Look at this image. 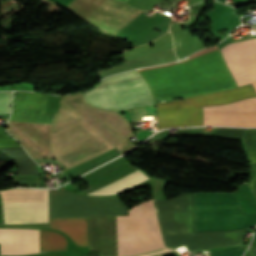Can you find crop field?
Masks as SVG:
<instances>
[{"label":"crop field","mask_w":256,"mask_h":256,"mask_svg":"<svg viewBox=\"0 0 256 256\" xmlns=\"http://www.w3.org/2000/svg\"><path fill=\"white\" fill-rule=\"evenodd\" d=\"M195 232L255 226L256 214H245L233 193H193ZM118 256L164 247L152 199L117 217ZM173 251L161 250L145 255ZM161 256V255H160Z\"/></svg>","instance_id":"8a807250"},{"label":"crop field","mask_w":256,"mask_h":256,"mask_svg":"<svg viewBox=\"0 0 256 256\" xmlns=\"http://www.w3.org/2000/svg\"><path fill=\"white\" fill-rule=\"evenodd\" d=\"M78 120L60 101L51 134ZM84 123L80 120L51 135L55 157L67 168L114 148Z\"/></svg>","instance_id":"ac0d7876"},{"label":"crop field","mask_w":256,"mask_h":256,"mask_svg":"<svg viewBox=\"0 0 256 256\" xmlns=\"http://www.w3.org/2000/svg\"><path fill=\"white\" fill-rule=\"evenodd\" d=\"M256 96L251 84L183 100L155 101L159 129L202 125L201 106L223 105Z\"/></svg>","instance_id":"34b2d1b8"},{"label":"crop field","mask_w":256,"mask_h":256,"mask_svg":"<svg viewBox=\"0 0 256 256\" xmlns=\"http://www.w3.org/2000/svg\"><path fill=\"white\" fill-rule=\"evenodd\" d=\"M81 94L87 104L116 112L154 104L137 70L105 78L96 88Z\"/></svg>","instance_id":"412701ff"},{"label":"crop field","mask_w":256,"mask_h":256,"mask_svg":"<svg viewBox=\"0 0 256 256\" xmlns=\"http://www.w3.org/2000/svg\"><path fill=\"white\" fill-rule=\"evenodd\" d=\"M60 100L105 137L120 154L134 147L127 140L133 133L125 117L85 104L80 93L62 96Z\"/></svg>","instance_id":"f4fd0767"},{"label":"crop field","mask_w":256,"mask_h":256,"mask_svg":"<svg viewBox=\"0 0 256 256\" xmlns=\"http://www.w3.org/2000/svg\"><path fill=\"white\" fill-rule=\"evenodd\" d=\"M121 215H128V209L116 196L91 197L60 190H50L49 218Z\"/></svg>","instance_id":"dd49c442"},{"label":"crop field","mask_w":256,"mask_h":256,"mask_svg":"<svg viewBox=\"0 0 256 256\" xmlns=\"http://www.w3.org/2000/svg\"><path fill=\"white\" fill-rule=\"evenodd\" d=\"M66 7L82 19L114 34L141 12L115 0H71Z\"/></svg>","instance_id":"e52e79f7"},{"label":"crop field","mask_w":256,"mask_h":256,"mask_svg":"<svg viewBox=\"0 0 256 256\" xmlns=\"http://www.w3.org/2000/svg\"><path fill=\"white\" fill-rule=\"evenodd\" d=\"M38 230L0 229V254H23L38 252ZM39 252L65 250L66 239L59 233L39 230Z\"/></svg>","instance_id":"d8731c3e"},{"label":"crop field","mask_w":256,"mask_h":256,"mask_svg":"<svg viewBox=\"0 0 256 256\" xmlns=\"http://www.w3.org/2000/svg\"><path fill=\"white\" fill-rule=\"evenodd\" d=\"M221 52L238 86L256 81V36L230 41Z\"/></svg>","instance_id":"5a996713"},{"label":"crop field","mask_w":256,"mask_h":256,"mask_svg":"<svg viewBox=\"0 0 256 256\" xmlns=\"http://www.w3.org/2000/svg\"><path fill=\"white\" fill-rule=\"evenodd\" d=\"M252 86L256 92V82ZM203 125L256 126V97L224 106L203 107Z\"/></svg>","instance_id":"3316defc"},{"label":"crop field","mask_w":256,"mask_h":256,"mask_svg":"<svg viewBox=\"0 0 256 256\" xmlns=\"http://www.w3.org/2000/svg\"><path fill=\"white\" fill-rule=\"evenodd\" d=\"M7 126V131L32 158H54L49 138L50 125L8 121Z\"/></svg>","instance_id":"28ad6ade"},{"label":"crop field","mask_w":256,"mask_h":256,"mask_svg":"<svg viewBox=\"0 0 256 256\" xmlns=\"http://www.w3.org/2000/svg\"><path fill=\"white\" fill-rule=\"evenodd\" d=\"M88 246L101 256H117L116 217L88 218Z\"/></svg>","instance_id":"d1516ede"},{"label":"crop field","mask_w":256,"mask_h":256,"mask_svg":"<svg viewBox=\"0 0 256 256\" xmlns=\"http://www.w3.org/2000/svg\"><path fill=\"white\" fill-rule=\"evenodd\" d=\"M46 95L14 92L13 113L9 120L52 123L55 114L43 113Z\"/></svg>","instance_id":"22f410ed"},{"label":"crop field","mask_w":256,"mask_h":256,"mask_svg":"<svg viewBox=\"0 0 256 256\" xmlns=\"http://www.w3.org/2000/svg\"><path fill=\"white\" fill-rule=\"evenodd\" d=\"M4 224L47 221L48 203L2 205Z\"/></svg>","instance_id":"cbeb9de0"},{"label":"crop field","mask_w":256,"mask_h":256,"mask_svg":"<svg viewBox=\"0 0 256 256\" xmlns=\"http://www.w3.org/2000/svg\"><path fill=\"white\" fill-rule=\"evenodd\" d=\"M214 135L239 138L243 141L251 163H256V129L215 128ZM249 187L256 197V164H252V178Z\"/></svg>","instance_id":"5142ce71"},{"label":"crop field","mask_w":256,"mask_h":256,"mask_svg":"<svg viewBox=\"0 0 256 256\" xmlns=\"http://www.w3.org/2000/svg\"><path fill=\"white\" fill-rule=\"evenodd\" d=\"M51 229L66 234L77 246H87L86 218L51 219Z\"/></svg>","instance_id":"d9b57169"},{"label":"crop field","mask_w":256,"mask_h":256,"mask_svg":"<svg viewBox=\"0 0 256 256\" xmlns=\"http://www.w3.org/2000/svg\"><path fill=\"white\" fill-rule=\"evenodd\" d=\"M148 179L145 175H143L139 170L124 176L114 182H111L99 189H96L87 195H109V194H117L131 186H134L144 180Z\"/></svg>","instance_id":"733c2abd"},{"label":"crop field","mask_w":256,"mask_h":256,"mask_svg":"<svg viewBox=\"0 0 256 256\" xmlns=\"http://www.w3.org/2000/svg\"><path fill=\"white\" fill-rule=\"evenodd\" d=\"M0 151L15 158L16 163L19 167L16 175L39 173L35 167L38 164H36L32 159L29 158V156L26 154L22 147L4 148L0 149Z\"/></svg>","instance_id":"4a817a6b"},{"label":"crop field","mask_w":256,"mask_h":256,"mask_svg":"<svg viewBox=\"0 0 256 256\" xmlns=\"http://www.w3.org/2000/svg\"><path fill=\"white\" fill-rule=\"evenodd\" d=\"M246 246H241V247H236V248H231V249H226V250H221V251H216V252H211L209 253L210 256H241V254L244 252L246 249Z\"/></svg>","instance_id":"bc2a9ffb"},{"label":"crop field","mask_w":256,"mask_h":256,"mask_svg":"<svg viewBox=\"0 0 256 256\" xmlns=\"http://www.w3.org/2000/svg\"><path fill=\"white\" fill-rule=\"evenodd\" d=\"M10 95H11V92H0V114H8L9 113V97H10Z\"/></svg>","instance_id":"214f88e0"},{"label":"crop field","mask_w":256,"mask_h":256,"mask_svg":"<svg viewBox=\"0 0 256 256\" xmlns=\"http://www.w3.org/2000/svg\"><path fill=\"white\" fill-rule=\"evenodd\" d=\"M217 48H218L217 45H215V46H213V47H211V48H207V49H204V50H202V51L196 52L194 55H192V56H190V57H187V58H185V59H183V60H187V59L193 58V57H195V56H197V55H199V54H202V53H204V52H206V51L213 50V49H217ZM183 60H181V61H183ZM181 61L179 60V61H177V62H175V63H171V64H176V63H179V62H181ZM171 64H165V65H162V66H154V67L145 68V69H140V70H146V69H151V68H155V67H163V66H167V65H171ZM140 70H138V71H140Z\"/></svg>","instance_id":"92a150f3"},{"label":"crop field","mask_w":256,"mask_h":256,"mask_svg":"<svg viewBox=\"0 0 256 256\" xmlns=\"http://www.w3.org/2000/svg\"><path fill=\"white\" fill-rule=\"evenodd\" d=\"M119 1H121V2L125 3L127 0H119Z\"/></svg>","instance_id":"dafd665d"}]
</instances>
